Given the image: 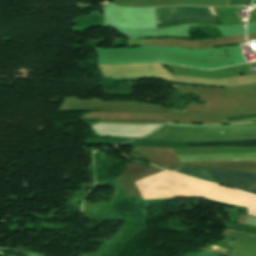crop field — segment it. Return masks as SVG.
I'll return each instance as SVG.
<instances>
[{
    "instance_id": "obj_3",
    "label": "crop field",
    "mask_w": 256,
    "mask_h": 256,
    "mask_svg": "<svg viewBox=\"0 0 256 256\" xmlns=\"http://www.w3.org/2000/svg\"><path fill=\"white\" fill-rule=\"evenodd\" d=\"M187 147H199V146H241L252 147L256 146V140L248 141H221V142H196L186 143Z\"/></svg>"
},
{
    "instance_id": "obj_4",
    "label": "crop field",
    "mask_w": 256,
    "mask_h": 256,
    "mask_svg": "<svg viewBox=\"0 0 256 256\" xmlns=\"http://www.w3.org/2000/svg\"><path fill=\"white\" fill-rule=\"evenodd\" d=\"M222 256H226V255L222 254Z\"/></svg>"
},
{
    "instance_id": "obj_2",
    "label": "crop field",
    "mask_w": 256,
    "mask_h": 256,
    "mask_svg": "<svg viewBox=\"0 0 256 256\" xmlns=\"http://www.w3.org/2000/svg\"><path fill=\"white\" fill-rule=\"evenodd\" d=\"M208 8L207 7H161V8H157V19L175 16V15H181V14H206V15L212 14L214 15L212 8H209L211 14ZM180 19L217 20L216 17H212V16L181 15V16H175V17H170L165 19H159L157 20V23L172 21V20H180ZM204 20H180V21H173V22H167V23H160V24H157V28L182 25L187 23L221 25L220 22H217V21H204Z\"/></svg>"
},
{
    "instance_id": "obj_1",
    "label": "crop field",
    "mask_w": 256,
    "mask_h": 256,
    "mask_svg": "<svg viewBox=\"0 0 256 256\" xmlns=\"http://www.w3.org/2000/svg\"><path fill=\"white\" fill-rule=\"evenodd\" d=\"M174 171L256 194V174L182 166Z\"/></svg>"
}]
</instances>
